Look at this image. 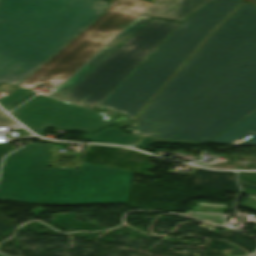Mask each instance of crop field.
<instances>
[{"label":"crop field","instance_id":"1","mask_svg":"<svg viewBox=\"0 0 256 256\" xmlns=\"http://www.w3.org/2000/svg\"><path fill=\"white\" fill-rule=\"evenodd\" d=\"M255 110L256 8L244 3L129 126L135 135L208 143Z\"/></svg>","mask_w":256,"mask_h":256},{"label":"crop field","instance_id":"2","mask_svg":"<svg viewBox=\"0 0 256 256\" xmlns=\"http://www.w3.org/2000/svg\"><path fill=\"white\" fill-rule=\"evenodd\" d=\"M107 5L99 0H1L0 84L17 85Z\"/></svg>","mask_w":256,"mask_h":256},{"label":"crop field","instance_id":"3","mask_svg":"<svg viewBox=\"0 0 256 256\" xmlns=\"http://www.w3.org/2000/svg\"><path fill=\"white\" fill-rule=\"evenodd\" d=\"M50 148L29 143L5 158L0 199L56 205L127 202L134 173L84 162L80 170L48 168Z\"/></svg>","mask_w":256,"mask_h":256},{"label":"crop field","instance_id":"4","mask_svg":"<svg viewBox=\"0 0 256 256\" xmlns=\"http://www.w3.org/2000/svg\"><path fill=\"white\" fill-rule=\"evenodd\" d=\"M243 1L213 0L182 25L103 102L101 107L136 116L179 67Z\"/></svg>","mask_w":256,"mask_h":256},{"label":"crop field","instance_id":"5","mask_svg":"<svg viewBox=\"0 0 256 256\" xmlns=\"http://www.w3.org/2000/svg\"><path fill=\"white\" fill-rule=\"evenodd\" d=\"M108 10L18 87L31 90L38 84L56 89L85 62L103 48L151 3L144 0H111Z\"/></svg>","mask_w":256,"mask_h":256},{"label":"crop field","instance_id":"6","mask_svg":"<svg viewBox=\"0 0 256 256\" xmlns=\"http://www.w3.org/2000/svg\"><path fill=\"white\" fill-rule=\"evenodd\" d=\"M180 24L149 20L88 73L61 100L93 109Z\"/></svg>","mask_w":256,"mask_h":256},{"label":"crop field","instance_id":"7","mask_svg":"<svg viewBox=\"0 0 256 256\" xmlns=\"http://www.w3.org/2000/svg\"><path fill=\"white\" fill-rule=\"evenodd\" d=\"M11 114L39 135L47 126L91 133L111 123L105 115L45 96H36Z\"/></svg>","mask_w":256,"mask_h":256},{"label":"crop field","instance_id":"8","mask_svg":"<svg viewBox=\"0 0 256 256\" xmlns=\"http://www.w3.org/2000/svg\"><path fill=\"white\" fill-rule=\"evenodd\" d=\"M148 17L140 16L133 24L126 28L120 35H118L109 45H107L100 53L92 58L86 65H84L77 73H75L69 80L60 86L50 96L60 99L66 94L77 82H79L88 72L111 54L120 44H122L136 29L141 26Z\"/></svg>","mask_w":256,"mask_h":256},{"label":"crop field","instance_id":"9","mask_svg":"<svg viewBox=\"0 0 256 256\" xmlns=\"http://www.w3.org/2000/svg\"><path fill=\"white\" fill-rule=\"evenodd\" d=\"M211 0H158L142 15L180 22Z\"/></svg>","mask_w":256,"mask_h":256},{"label":"crop field","instance_id":"10","mask_svg":"<svg viewBox=\"0 0 256 256\" xmlns=\"http://www.w3.org/2000/svg\"><path fill=\"white\" fill-rule=\"evenodd\" d=\"M248 134L254 136L239 144H256V111L228 128L209 143L234 144Z\"/></svg>","mask_w":256,"mask_h":256},{"label":"crop field","instance_id":"11","mask_svg":"<svg viewBox=\"0 0 256 256\" xmlns=\"http://www.w3.org/2000/svg\"><path fill=\"white\" fill-rule=\"evenodd\" d=\"M120 131L121 130L112 127L92 135H85V138L91 142L120 143L131 146H135L142 139L140 136L120 133Z\"/></svg>","mask_w":256,"mask_h":256},{"label":"crop field","instance_id":"12","mask_svg":"<svg viewBox=\"0 0 256 256\" xmlns=\"http://www.w3.org/2000/svg\"><path fill=\"white\" fill-rule=\"evenodd\" d=\"M36 94L35 92L28 91L22 88L17 89L13 93H11L9 96L4 98L3 100L0 101V104L3 106V108L6 111H9L25 101L26 99L30 98Z\"/></svg>","mask_w":256,"mask_h":256},{"label":"crop field","instance_id":"13","mask_svg":"<svg viewBox=\"0 0 256 256\" xmlns=\"http://www.w3.org/2000/svg\"><path fill=\"white\" fill-rule=\"evenodd\" d=\"M153 141L200 145V143H197V142H189V141H182V140L153 139V138L145 137L137 146L148 148L150 143Z\"/></svg>","mask_w":256,"mask_h":256},{"label":"crop field","instance_id":"14","mask_svg":"<svg viewBox=\"0 0 256 256\" xmlns=\"http://www.w3.org/2000/svg\"><path fill=\"white\" fill-rule=\"evenodd\" d=\"M0 125L18 126L9 116L3 114L0 115Z\"/></svg>","mask_w":256,"mask_h":256},{"label":"crop field","instance_id":"15","mask_svg":"<svg viewBox=\"0 0 256 256\" xmlns=\"http://www.w3.org/2000/svg\"><path fill=\"white\" fill-rule=\"evenodd\" d=\"M11 150V148L8 146V144H4V145H0V162H1V159L2 157L9 153Z\"/></svg>","mask_w":256,"mask_h":256},{"label":"crop field","instance_id":"16","mask_svg":"<svg viewBox=\"0 0 256 256\" xmlns=\"http://www.w3.org/2000/svg\"><path fill=\"white\" fill-rule=\"evenodd\" d=\"M3 113L1 110H0V114Z\"/></svg>","mask_w":256,"mask_h":256}]
</instances>
